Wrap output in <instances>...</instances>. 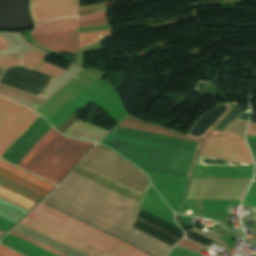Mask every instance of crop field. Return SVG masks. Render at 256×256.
I'll return each mask as SVG.
<instances>
[{"mask_svg":"<svg viewBox=\"0 0 256 256\" xmlns=\"http://www.w3.org/2000/svg\"><path fill=\"white\" fill-rule=\"evenodd\" d=\"M242 206L256 207V180L252 183Z\"/></svg>","mask_w":256,"mask_h":256,"instance_id":"a9b5d70f","label":"crop field"},{"mask_svg":"<svg viewBox=\"0 0 256 256\" xmlns=\"http://www.w3.org/2000/svg\"><path fill=\"white\" fill-rule=\"evenodd\" d=\"M119 126L198 143L197 145L120 127H117L100 142L137 165L141 170L184 178L187 177L197 145L187 178L190 177L200 145L198 140L195 141L166 129L151 126L132 117H128Z\"/></svg>","mask_w":256,"mask_h":256,"instance_id":"ac0d7876","label":"crop field"},{"mask_svg":"<svg viewBox=\"0 0 256 256\" xmlns=\"http://www.w3.org/2000/svg\"><path fill=\"white\" fill-rule=\"evenodd\" d=\"M77 18L40 24L30 35L76 28ZM40 46L54 51L77 52L76 29L31 36Z\"/></svg>","mask_w":256,"mask_h":256,"instance_id":"e52e79f7","label":"crop field"},{"mask_svg":"<svg viewBox=\"0 0 256 256\" xmlns=\"http://www.w3.org/2000/svg\"><path fill=\"white\" fill-rule=\"evenodd\" d=\"M7 45L8 44L3 40L2 36L0 35V49H5Z\"/></svg>","mask_w":256,"mask_h":256,"instance_id":"120bbe31","label":"crop field"},{"mask_svg":"<svg viewBox=\"0 0 256 256\" xmlns=\"http://www.w3.org/2000/svg\"><path fill=\"white\" fill-rule=\"evenodd\" d=\"M32 213L34 214L30 218L111 256H150L43 203Z\"/></svg>","mask_w":256,"mask_h":256,"instance_id":"412701ff","label":"crop field"},{"mask_svg":"<svg viewBox=\"0 0 256 256\" xmlns=\"http://www.w3.org/2000/svg\"><path fill=\"white\" fill-rule=\"evenodd\" d=\"M9 234H11V235H13V236H15V237H17L19 239H22V240H24V241H26V242H28V243H30L32 245H35V246H37V247H39V248H41L43 250H46V251H48V252H50V253H52V254H54L56 256H67V255H65V254H63L61 252H58L56 250H53V249H51V248H49V247H47V246H45V245H43V244H41L39 242H37V241L27 237V236H24V235L14 231V230L9 232Z\"/></svg>","mask_w":256,"mask_h":256,"instance_id":"dafd665d","label":"crop field"},{"mask_svg":"<svg viewBox=\"0 0 256 256\" xmlns=\"http://www.w3.org/2000/svg\"><path fill=\"white\" fill-rule=\"evenodd\" d=\"M246 123V121L236 119L226 126L223 131L243 136Z\"/></svg>","mask_w":256,"mask_h":256,"instance_id":"00972430","label":"crop field"},{"mask_svg":"<svg viewBox=\"0 0 256 256\" xmlns=\"http://www.w3.org/2000/svg\"><path fill=\"white\" fill-rule=\"evenodd\" d=\"M0 96L20 102L30 107L34 111L44 103V101L38 99L39 97L37 98L33 95L9 88L1 84H0Z\"/></svg>","mask_w":256,"mask_h":256,"instance_id":"d9b57169","label":"crop field"},{"mask_svg":"<svg viewBox=\"0 0 256 256\" xmlns=\"http://www.w3.org/2000/svg\"><path fill=\"white\" fill-rule=\"evenodd\" d=\"M79 48L110 37L109 30L78 33Z\"/></svg>","mask_w":256,"mask_h":256,"instance_id":"214f88e0","label":"crop field"},{"mask_svg":"<svg viewBox=\"0 0 256 256\" xmlns=\"http://www.w3.org/2000/svg\"><path fill=\"white\" fill-rule=\"evenodd\" d=\"M20 224L28 227V228H31L37 232H40L48 237H51L69 247H72L78 251H81L87 255H90V256H109L101 251H98L88 245H85L73 238H70L58 231H55L45 225H42L28 217H26L24 220H22L20 222Z\"/></svg>","mask_w":256,"mask_h":256,"instance_id":"28ad6ade","label":"crop field"},{"mask_svg":"<svg viewBox=\"0 0 256 256\" xmlns=\"http://www.w3.org/2000/svg\"><path fill=\"white\" fill-rule=\"evenodd\" d=\"M91 145L65 138L51 127L18 167L57 184Z\"/></svg>","mask_w":256,"mask_h":256,"instance_id":"34b2d1b8","label":"crop field"},{"mask_svg":"<svg viewBox=\"0 0 256 256\" xmlns=\"http://www.w3.org/2000/svg\"><path fill=\"white\" fill-rule=\"evenodd\" d=\"M37 116L6 99H0V157Z\"/></svg>","mask_w":256,"mask_h":256,"instance_id":"dd49c442","label":"crop field"},{"mask_svg":"<svg viewBox=\"0 0 256 256\" xmlns=\"http://www.w3.org/2000/svg\"><path fill=\"white\" fill-rule=\"evenodd\" d=\"M0 174L43 195H46L54 187V185L2 161H0Z\"/></svg>","mask_w":256,"mask_h":256,"instance_id":"22f410ed","label":"crop field"},{"mask_svg":"<svg viewBox=\"0 0 256 256\" xmlns=\"http://www.w3.org/2000/svg\"><path fill=\"white\" fill-rule=\"evenodd\" d=\"M103 18H106V13L105 12H101V13H97V14H93V15H89V16L80 17L79 18V22L89 21V20H96V19H103Z\"/></svg>","mask_w":256,"mask_h":256,"instance_id":"ae1a2a85","label":"crop field"},{"mask_svg":"<svg viewBox=\"0 0 256 256\" xmlns=\"http://www.w3.org/2000/svg\"><path fill=\"white\" fill-rule=\"evenodd\" d=\"M0 256H21L0 245Z\"/></svg>","mask_w":256,"mask_h":256,"instance_id":"750c4746","label":"crop field"},{"mask_svg":"<svg viewBox=\"0 0 256 256\" xmlns=\"http://www.w3.org/2000/svg\"><path fill=\"white\" fill-rule=\"evenodd\" d=\"M50 127L51 126L39 116L6 152L2 159L17 166Z\"/></svg>","mask_w":256,"mask_h":256,"instance_id":"3316defc","label":"crop field"},{"mask_svg":"<svg viewBox=\"0 0 256 256\" xmlns=\"http://www.w3.org/2000/svg\"><path fill=\"white\" fill-rule=\"evenodd\" d=\"M247 237H253V238H256V236H252V235H247Z\"/></svg>","mask_w":256,"mask_h":256,"instance_id":"d32e631a","label":"crop field"},{"mask_svg":"<svg viewBox=\"0 0 256 256\" xmlns=\"http://www.w3.org/2000/svg\"><path fill=\"white\" fill-rule=\"evenodd\" d=\"M214 137L245 144L243 137L211 130L203 143L200 155H203ZM217 138H214L204 155L233 161L252 163L250 153L246 145Z\"/></svg>","mask_w":256,"mask_h":256,"instance_id":"d8731c3e","label":"crop field"},{"mask_svg":"<svg viewBox=\"0 0 256 256\" xmlns=\"http://www.w3.org/2000/svg\"><path fill=\"white\" fill-rule=\"evenodd\" d=\"M79 0H30L34 23L76 16Z\"/></svg>","mask_w":256,"mask_h":256,"instance_id":"5a996713","label":"crop field"},{"mask_svg":"<svg viewBox=\"0 0 256 256\" xmlns=\"http://www.w3.org/2000/svg\"><path fill=\"white\" fill-rule=\"evenodd\" d=\"M0 197L4 198L12 203H15L27 210H29L31 207H33L35 205V203H33L23 197H20L8 190H5L1 187H0Z\"/></svg>","mask_w":256,"mask_h":256,"instance_id":"92a150f3","label":"crop field"},{"mask_svg":"<svg viewBox=\"0 0 256 256\" xmlns=\"http://www.w3.org/2000/svg\"><path fill=\"white\" fill-rule=\"evenodd\" d=\"M44 202L154 256H165L172 248L130 227L138 203L73 173Z\"/></svg>","mask_w":256,"mask_h":256,"instance_id":"8a807250","label":"crop field"},{"mask_svg":"<svg viewBox=\"0 0 256 256\" xmlns=\"http://www.w3.org/2000/svg\"><path fill=\"white\" fill-rule=\"evenodd\" d=\"M3 235V233L0 232V237Z\"/></svg>","mask_w":256,"mask_h":256,"instance_id":"5866460e","label":"crop field"},{"mask_svg":"<svg viewBox=\"0 0 256 256\" xmlns=\"http://www.w3.org/2000/svg\"><path fill=\"white\" fill-rule=\"evenodd\" d=\"M82 162L114 176L141 190H145L148 178L118 157L116 154L96 145Z\"/></svg>","mask_w":256,"mask_h":256,"instance_id":"f4fd0767","label":"crop field"},{"mask_svg":"<svg viewBox=\"0 0 256 256\" xmlns=\"http://www.w3.org/2000/svg\"><path fill=\"white\" fill-rule=\"evenodd\" d=\"M14 230H16V231H18V232H20V233H22L24 235H27V236H29V237L37 240V241H40V242H42V243H44V244H46V245H48V246L58 250V251L66 253V254H68L70 256H86V255H84V254H82V253H80L78 251H75V250H73V249H71V248H69V247H67V246H65L63 244H60V243H58V242H56V241H54V240H52L50 238H47V237H45V236H43V235H41V234H39V233H37L35 231H32V230H30V229H28V228H26V227H24V226H22L20 224H18L14 228Z\"/></svg>","mask_w":256,"mask_h":256,"instance_id":"5142ce71","label":"crop field"},{"mask_svg":"<svg viewBox=\"0 0 256 256\" xmlns=\"http://www.w3.org/2000/svg\"><path fill=\"white\" fill-rule=\"evenodd\" d=\"M0 186L16 193L19 194L35 203H37L43 196L21 186L18 185L2 176H0Z\"/></svg>","mask_w":256,"mask_h":256,"instance_id":"bc2a9ffb","label":"crop field"},{"mask_svg":"<svg viewBox=\"0 0 256 256\" xmlns=\"http://www.w3.org/2000/svg\"><path fill=\"white\" fill-rule=\"evenodd\" d=\"M66 70H63L55 65L49 64V63H45L42 67V69L40 70V72L46 73L48 75L51 76H58L61 73L65 72Z\"/></svg>","mask_w":256,"mask_h":256,"instance_id":"4177f3b9","label":"crop field"},{"mask_svg":"<svg viewBox=\"0 0 256 256\" xmlns=\"http://www.w3.org/2000/svg\"><path fill=\"white\" fill-rule=\"evenodd\" d=\"M14 223L0 217V230L6 232L9 228H11Z\"/></svg>","mask_w":256,"mask_h":256,"instance_id":"d3111659","label":"crop field"},{"mask_svg":"<svg viewBox=\"0 0 256 256\" xmlns=\"http://www.w3.org/2000/svg\"><path fill=\"white\" fill-rule=\"evenodd\" d=\"M0 242L28 256H54L9 234H7Z\"/></svg>","mask_w":256,"mask_h":256,"instance_id":"733c2abd","label":"crop field"},{"mask_svg":"<svg viewBox=\"0 0 256 256\" xmlns=\"http://www.w3.org/2000/svg\"><path fill=\"white\" fill-rule=\"evenodd\" d=\"M177 245L181 246V247H184V248H187L189 250L195 251V252H197V251L201 250L202 248H204V247H202V246H200V245H198V244H196L194 242H191L189 240H186V239H183Z\"/></svg>","mask_w":256,"mask_h":256,"instance_id":"730fd06b","label":"crop field"},{"mask_svg":"<svg viewBox=\"0 0 256 256\" xmlns=\"http://www.w3.org/2000/svg\"><path fill=\"white\" fill-rule=\"evenodd\" d=\"M80 164L85 166V167H87V168H89V169H91V170H93V171H96V172H98V173H100V174H102V175H104V176H106V177H108L110 179H113V180H115V181H117V182H119V183H121V184H123V185H125V186H127V187H129V188H131V189L141 193V194H143V191H141V190H139V189H137L135 187H132V186H130V185H128V184H126V183H124L122 181H119V180H117V179H115V178H113L111 176H108V175H106V174H104V173H102V172H100V171H98V170H96V169H94V168H92V167L82 163V162H80ZM81 165H79V166H81ZM79 166H77L75 168L73 173H75V174H77V175H79L81 177H84V178H86V179H88V180H90L92 182H95V183H97V184H99V185H101L103 187H106V188H108V189H110V190H112V191H114L116 193H119V194H121V195H123V196H125L127 198H130V199H132V200H134V201H136L138 203L140 202V199H141L142 196L136 194L137 192L136 193H134L135 191L131 192V191H129V190H127V189H125V188H123V187H121V186H119V185H117V184H115V183H113V182H111V181L101 177L102 175L99 176L100 174L97 175L98 173L97 174L92 173L93 171L90 172L91 170L88 171L89 169L85 170L87 168L81 166V167L85 168V169H83V168H81Z\"/></svg>","mask_w":256,"mask_h":256,"instance_id":"d1516ede","label":"crop field"},{"mask_svg":"<svg viewBox=\"0 0 256 256\" xmlns=\"http://www.w3.org/2000/svg\"><path fill=\"white\" fill-rule=\"evenodd\" d=\"M107 133L108 131L78 120L67 131H65L63 135L74 139L97 142Z\"/></svg>","mask_w":256,"mask_h":256,"instance_id":"cbeb9de0","label":"crop field"},{"mask_svg":"<svg viewBox=\"0 0 256 256\" xmlns=\"http://www.w3.org/2000/svg\"><path fill=\"white\" fill-rule=\"evenodd\" d=\"M248 142L252 149L255 161H256V137L247 136Z\"/></svg>","mask_w":256,"mask_h":256,"instance_id":"bd1437ed","label":"crop field"},{"mask_svg":"<svg viewBox=\"0 0 256 256\" xmlns=\"http://www.w3.org/2000/svg\"><path fill=\"white\" fill-rule=\"evenodd\" d=\"M247 135H256V124L250 123Z\"/></svg>","mask_w":256,"mask_h":256,"instance_id":"1d83c4d3","label":"crop field"},{"mask_svg":"<svg viewBox=\"0 0 256 256\" xmlns=\"http://www.w3.org/2000/svg\"><path fill=\"white\" fill-rule=\"evenodd\" d=\"M42 56H43V53L28 51L27 54L25 55L23 61H21V60H18L16 58L6 55V56L0 58V65L9 67V66L21 64V65H24V66L34 69L40 62Z\"/></svg>","mask_w":256,"mask_h":256,"instance_id":"4a817a6b","label":"crop field"},{"mask_svg":"<svg viewBox=\"0 0 256 256\" xmlns=\"http://www.w3.org/2000/svg\"><path fill=\"white\" fill-rule=\"evenodd\" d=\"M105 24H108L107 19L97 20V21H89V22H82V23H79L78 28L89 27V26H97V25H105Z\"/></svg>","mask_w":256,"mask_h":256,"instance_id":"eef30255","label":"crop field"}]
</instances>
